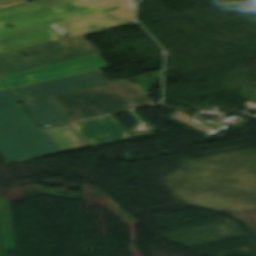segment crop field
<instances>
[{
	"label": "crop field",
	"instance_id": "1",
	"mask_svg": "<svg viewBox=\"0 0 256 256\" xmlns=\"http://www.w3.org/2000/svg\"><path fill=\"white\" fill-rule=\"evenodd\" d=\"M135 0H38L0 9V53L133 22Z\"/></svg>",
	"mask_w": 256,
	"mask_h": 256
},
{
	"label": "crop field",
	"instance_id": "2",
	"mask_svg": "<svg viewBox=\"0 0 256 256\" xmlns=\"http://www.w3.org/2000/svg\"><path fill=\"white\" fill-rule=\"evenodd\" d=\"M51 97L71 122L153 104L128 80Z\"/></svg>",
	"mask_w": 256,
	"mask_h": 256
},
{
	"label": "crop field",
	"instance_id": "3",
	"mask_svg": "<svg viewBox=\"0 0 256 256\" xmlns=\"http://www.w3.org/2000/svg\"><path fill=\"white\" fill-rule=\"evenodd\" d=\"M27 114L17 104L0 107V154L4 159L61 153Z\"/></svg>",
	"mask_w": 256,
	"mask_h": 256
},
{
	"label": "crop field",
	"instance_id": "4",
	"mask_svg": "<svg viewBox=\"0 0 256 256\" xmlns=\"http://www.w3.org/2000/svg\"><path fill=\"white\" fill-rule=\"evenodd\" d=\"M84 35L0 54V76L100 54Z\"/></svg>",
	"mask_w": 256,
	"mask_h": 256
},
{
	"label": "crop field",
	"instance_id": "5",
	"mask_svg": "<svg viewBox=\"0 0 256 256\" xmlns=\"http://www.w3.org/2000/svg\"><path fill=\"white\" fill-rule=\"evenodd\" d=\"M107 63L100 55L41 67L25 72H20L0 79L5 83L9 90L16 89L37 82H46L55 79L70 77L74 75L98 71L108 68Z\"/></svg>",
	"mask_w": 256,
	"mask_h": 256
},
{
	"label": "crop field",
	"instance_id": "6",
	"mask_svg": "<svg viewBox=\"0 0 256 256\" xmlns=\"http://www.w3.org/2000/svg\"><path fill=\"white\" fill-rule=\"evenodd\" d=\"M104 84H109V82L102 72L98 71L16 89L12 90L11 92L20 103H23L47 96L73 92Z\"/></svg>",
	"mask_w": 256,
	"mask_h": 256
},
{
	"label": "crop field",
	"instance_id": "7",
	"mask_svg": "<svg viewBox=\"0 0 256 256\" xmlns=\"http://www.w3.org/2000/svg\"><path fill=\"white\" fill-rule=\"evenodd\" d=\"M70 126L89 147L130 139L112 116L74 123Z\"/></svg>",
	"mask_w": 256,
	"mask_h": 256
},
{
	"label": "crop field",
	"instance_id": "8",
	"mask_svg": "<svg viewBox=\"0 0 256 256\" xmlns=\"http://www.w3.org/2000/svg\"><path fill=\"white\" fill-rule=\"evenodd\" d=\"M41 128L69 123V119L51 101L50 97L21 104Z\"/></svg>",
	"mask_w": 256,
	"mask_h": 256
},
{
	"label": "crop field",
	"instance_id": "9",
	"mask_svg": "<svg viewBox=\"0 0 256 256\" xmlns=\"http://www.w3.org/2000/svg\"><path fill=\"white\" fill-rule=\"evenodd\" d=\"M43 131L63 152L88 147L69 124L44 129Z\"/></svg>",
	"mask_w": 256,
	"mask_h": 256
},
{
	"label": "crop field",
	"instance_id": "10",
	"mask_svg": "<svg viewBox=\"0 0 256 256\" xmlns=\"http://www.w3.org/2000/svg\"><path fill=\"white\" fill-rule=\"evenodd\" d=\"M17 103L9 91L0 92V106L12 105Z\"/></svg>",
	"mask_w": 256,
	"mask_h": 256
},
{
	"label": "crop field",
	"instance_id": "11",
	"mask_svg": "<svg viewBox=\"0 0 256 256\" xmlns=\"http://www.w3.org/2000/svg\"><path fill=\"white\" fill-rule=\"evenodd\" d=\"M28 0H0V8L27 2Z\"/></svg>",
	"mask_w": 256,
	"mask_h": 256
},
{
	"label": "crop field",
	"instance_id": "12",
	"mask_svg": "<svg viewBox=\"0 0 256 256\" xmlns=\"http://www.w3.org/2000/svg\"><path fill=\"white\" fill-rule=\"evenodd\" d=\"M0 90H7V89L2 85L1 82H0Z\"/></svg>",
	"mask_w": 256,
	"mask_h": 256
},
{
	"label": "crop field",
	"instance_id": "13",
	"mask_svg": "<svg viewBox=\"0 0 256 256\" xmlns=\"http://www.w3.org/2000/svg\"><path fill=\"white\" fill-rule=\"evenodd\" d=\"M32 158H35V157H32ZM26 159H30V158H26ZM21 160H25V159H21ZM15 161H20V160H15ZM15 161H9L8 163L15 162Z\"/></svg>",
	"mask_w": 256,
	"mask_h": 256
},
{
	"label": "crop field",
	"instance_id": "14",
	"mask_svg": "<svg viewBox=\"0 0 256 256\" xmlns=\"http://www.w3.org/2000/svg\"><path fill=\"white\" fill-rule=\"evenodd\" d=\"M31 1H34V0H31Z\"/></svg>",
	"mask_w": 256,
	"mask_h": 256
}]
</instances>
